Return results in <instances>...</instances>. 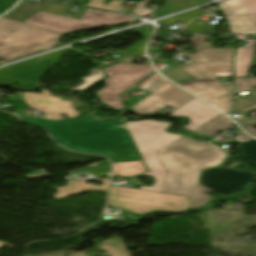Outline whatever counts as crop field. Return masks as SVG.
I'll return each instance as SVG.
<instances>
[{
  "mask_svg": "<svg viewBox=\"0 0 256 256\" xmlns=\"http://www.w3.org/2000/svg\"><path fill=\"white\" fill-rule=\"evenodd\" d=\"M157 154L166 170L162 193L189 197L191 208H199L212 197V190L198 184L202 169L221 163L224 152L203 142L179 138Z\"/></svg>",
  "mask_w": 256,
  "mask_h": 256,
  "instance_id": "1",
  "label": "crop field"
},
{
  "mask_svg": "<svg viewBox=\"0 0 256 256\" xmlns=\"http://www.w3.org/2000/svg\"><path fill=\"white\" fill-rule=\"evenodd\" d=\"M22 121L49 131L66 148L80 152L105 154L112 162L140 160L125 129L115 128L116 120L108 119V129L88 132L98 124L93 116L82 121H47L20 117Z\"/></svg>",
  "mask_w": 256,
  "mask_h": 256,
  "instance_id": "2",
  "label": "crop field"
},
{
  "mask_svg": "<svg viewBox=\"0 0 256 256\" xmlns=\"http://www.w3.org/2000/svg\"><path fill=\"white\" fill-rule=\"evenodd\" d=\"M62 33L0 19V58L5 61L45 50L56 45Z\"/></svg>",
  "mask_w": 256,
  "mask_h": 256,
  "instance_id": "3",
  "label": "crop field"
},
{
  "mask_svg": "<svg viewBox=\"0 0 256 256\" xmlns=\"http://www.w3.org/2000/svg\"><path fill=\"white\" fill-rule=\"evenodd\" d=\"M126 124L143 160L150 170L141 175L146 177L153 176L156 180L153 187L147 188L141 186L140 189L161 192L165 170L161 166L156 151L175 141L182 135L166 133L165 128L170 124L164 122L139 121Z\"/></svg>",
  "mask_w": 256,
  "mask_h": 256,
  "instance_id": "4",
  "label": "crop field"
},
{
  "mask_svg": "<svg viewBox=\"0 0 256 256\" xmlns=\"http://www.w3.org/2000/svg\"><path fill=\"white\" fill-rule=\"evenodd\" d=\"M108 204L142 214H146L155 209L182 212L187 208H190L189 200L185 197L113 185L110 187Z\"/></svg>",
  "mask_w": 256,
  "mask_h": 256,
  "instance_id": "5",
  "label": "crop field"
},
{
  "mask_svg": "<svg viewBox=\"0 0 256 256\" xmlns=\"http://www.w3.org/2000/svg\"><path fill=\"white\" fill-rule=\"evenodd\" d=\"M108 13L110 15H108ZM130 21H135V19L117 13L102 12L87 8L80 20L40 12L24 23L67 34L86 28L115 26Z\"/></svg>",
  "mask_w": 256,
  "mask_h": 256,
  "instance_id": "6",
  "label": "crop field"
},
{
  "mask_svg": "<svg viewBox=\"0 0 256 256\" xmlns=\"http://www.w3.org/2000/svg\"><path fill=\"white\" fill-rule=\"evenodd\" d=\"M104 70L106 75L110 76V78L106 80V88L99 90L96 93L101 102L116 110L122 109L117 96L154 71L152 66L122 63H117Z\"/></svg>",
  "mask_w": 256,
  "mask_h": 256,
  "instance_id": "7",
  "label": "crop field"
},
{
  "mask_svg": "<svg viewBox=\"0 0 256 256\" xmlns=\"http://www.w3.org/2000/svg\"><path fill=\"white\" fill-rule=\"evenodd\" d=\"M184 57L195 63L181 68L197 79L213 77L214 72L233 71V49L208 48Z\"/></svg>",
  "mask_w": 256,
  "mask_h": 256,
  "instance_id": "8",
  "label": "crop field"
},
{
  "mask_svg": "<svg viewBox=\"0 0 256 256\" xmlns=\"http://www.w3.org/2000/svg\"><path fill=\"white\" fill-rule=\"evenodd\" d=\"M256 177L249 171L238 172L229 168L206 170L201 177L202 185L221 195H231L244 189L247 182Z\"/></svg>",
  "mask_w": 256,
  "mask_h": 256,
  "instance_id": "9",
  "label": "crop field"
},
{
  "mask_svg": "<svg viewBox=\"0 0 256 256\" xmlns=\"http://www.w3.org/2000/svg\"><path fill=\"white\" fill-rule=\"evenodd\" d=\"M192 97L168 82L131 108L137 115H146L155 113L165 106L176 108Z\"/></svg>",
  "mask_w": 256,
  "mask_h": 256,
  "instance_id": "10",
  "label": "crop field"
},
{
  "mask_svg": "<svg viewBox=\"0 0 256 256\" xmlns=\"http://www.w3.org/2000/svg\"><path fill=\"white\" fill-rule=\"evenodd\" d=\"M68 51H61L49 54L30 62L10 66L0 70V78L35 83L45 73V71L55 65Z\"/></svg>",
  "mask_w": 256,
  "mask_h": 256,
  "instance_id": "11",
  "label": "crop field"
},
{
  "mask_svg": "<svg viewBox=\"0 0 256 256\" xmlns=\"http://www.w3.org/2000/svg\"><path fill=\"white\" fill-rule=\"evenodd\" d=\"M43 93H23L27 105L41 110L46 115L45 118L51 120L61 119L60 113H66L68 117L77 116V112L71 107V101H62L53 97L49 91L41 89ZM44 109H41V108Z\"/></svg>",
  "mask_w": 256,
  "mask_h": 256,
  "instance_id": "12",
  "label": "crop field"
},
{
  "mask_svg": "<svg viewBox=\"0 0 256 256\" xmlns=\"http://www.w3.org/2000/svg\"><path fill=\"white\" fill-rule=\"evenodd\" d=\"M220 114L215 108L195 98L174 111L171 115L175 117L188 116L191 119V123L185 129L193 130Z\"/></svg>",
  "mask_w": 256,
  "mask_h": 256,
  "instance_id": "13",
  "label": "crop field"
},
{
  "mask_svg": "<svg viewBox=\"0 0 256 256\" xmlns=\"http://www.w3.org/2000/svg\"><path fill=\"white\" fill-rule=\"evenodd\" d=\"M91 180H79V181H70L68 187H60L57 189L58 193L53 195L55 198L67 197L75 194L82 193L84 191H97V192H106L109 179H101L97 181L103 182L102 186H94L92 184H85V182Z\"/></svg>",
  "mask_w": 256,
  "mask_h": 256,
  "instance_id": "14",
  "label": "crop field"
},
{
  "mask_svg": "<svg viewBox=\"0 0 256 256\" xmlns=\"http://www.w3.org/2000/svg\"><path fill=\"white\" fill-rule=\"evenodd\" d=\"M219 5L226 18L256 14V0H229Z\"/></svg>",
  "mask_w": 256,
  "mask_h": 256,
  "instance_id": "15",
  "label": "crop field"
},
{
  "mask_svg": "<svg viewBox=\"0 0 256 256\" xmlns=\"http://www.w3.org/2000/svg\"><path fill=\"white\" fill-rule=\"evenodd\" d=\"M53 3L54 2L51 0H45L43 3L38 5L22 1L21 4L13 11H11L7 16H5V18L23 22Z\"/></svg>",
  "mask_w": 256,
  "mask_h": 256,
  "instance_id": "16",
  "label": "crop field"
},
{
  "mask_svg": "<svg viewBox=\"0 0 256 256\" xmlns=\"http://www.w3.org/2000/svg\"><path fill=\"white\" fill-rule=\"evenodd\" d=\"M233 33L256 34V15L227 19Z\"/></svg>",
  "mask_w": 256,
  "mask_h": 256,
  "instance_id": "17",
  "label": "crop field"
},
{
  "mask_svg": "<svg viewBox=\"0 0 256 256\" xmlns=\"http://www.w3.org/2000/svg\"><path fill=\"white\" fill-rule=\"evenodd\" d=\"M254 49L255 48H238L235 62L237 77L247 76L251 65Z\"/></svg>",
  "mask_w": 256,
  "mask_h": 256,
  "instance_id": "18",
  "label": "crop field"
},
{
  "mask_svg": "<svg viewBox=\"0 0 256 256\" xmlns=\"http://www.w3.org/2000/svg\"><path fill=\"white\" fill-rule=\"evenodd\" d=\"M231 124V120H229L224 115H220L206 122L202 126L195 129L194 131L214 136L219 129L227 130Z\"/></svg>",
  "mask_w": 256,
  "mask_h": 256,
  "instance_id": "19",
  "label": "crop field"
},
{
  "mask_svg": "<svg viewBox=\"0 0 256 256\" xmlns=\"http://www.w3.org/2000/svg\"><path fill=\"white\" fill-rule=\"evenodd\" d=\"M114 176H133L146 171L142 161L114 163Z\"/></svg>",
  "mask_w": 256,
  "mask_h": 256,
  "instance_id": "20",
  "label": "crop field"
},
{
  "mask_svg": "<svg viewBox=\"0 0 256 256\" xmlns=\"http://www.w3.org/2000/svg\"><path fill=\"white\" fill-rule=\"evenodd\" d=\"M240 156L236 159V163L254 162L256 163V140L253 139L247 143L240 144L238 147Z\"/></svg>",
  "mask_w": 256,
  "mask_h": 256,
  "instance_id": "21",
  "label": "crop field"
},
{
  "mask_svg": "<svg viewBox=\"0 0 256 256\" xmlns=\"http://www.w3.org/2000/svg\"><path fill=\"white\" fill-rule=\"evenodd\" d=\"M152 28L151 27H146V28H142V29H138L136 30L137 33H139L140 35H142L145 40L136 44L135 46L124 50L123 52H121V54H131V55H135V56H145L144 54V49L145 46L151 36V32H152Z\"/></svg>",
  "mask_w": 256,
  "mask_h": 256,
  "instance_id": "22",
  "label": "crop field"
},
{
  "mask_svg": "<svg viewBox=\"0 0 256 256\" xmlns=\"http://www.w3.org/2000/svg\"><path fill=\"white\" fill-rule=\"evenodd\" d=\"M189 92L210 102L215 98H217L218 96L225 93L226 89L223 87V85H219V86H213V87L202 88L197 90H191Z\"/></svg>",
  "mask_w": 256,
  "mask_h": 256,
  "instance_id": "23",
  "label": "crop field"
},
{
  "mask_svg": "<svg viewBox=\"0 0 256 256\" xmlns=\"http://www.w3.org/2000/svg\"><path fill=\"white\" fill-rule=\"evenodd\" d=\"M99 248L107 250L110 256H128L121 243L113 239L103 241Z\"/></svg>",
  "mask_w": 256,
  "mask_h": 256,
  "instance_id": "24",
  "label": "crop field"
},
{
  "mask_svg": "<svg viewBox=\"0 0 256 256\" xmlns=\"http://www.w3.org/2000/svg\"><path fill=\"white\" fill-rule=\"evenodd\" d=\"M161 73L176 83L195 79L179 67L161 71Z\"/></svg>",
  "mask_w": 256,
  "mask_h": 256,
  "instance_id": "25",
  "label": "crop field"
},
{
  "mask_svg": "<svg viewBox=\"0 0 256 256\" xmlns=\"http://www.w3.org/2000/svg\"><path fill=\"white\" fill-rule=\"evenodd\" d=\"M219 84H221L219 80L216 77H213V78L179 83L178 85L187 90H191V89H197V88L208 87V86L219 85Z\"/></svg>",
  "mask_w": 256,
  "mask_h": 256,
  "instance_id": "26",
  "label": "crop field"
},
{
  "mask_svg": "<svg viewBox=\"0 0 256 256\" xmlns=\"http://www.w3.org/2000/svg\"><path fill=\"white\" fill-rule=\"evenodd\" d=\"M104 0H90L87 6L105 9V10H111V11H119L120 5L124 2L122 0H113L109 3V5L103 4Z\"/></svg>",
  "mask_w": 256,
  "mask_h": 256,
  "instance_id": "27",
  "label": "crop field"
},
{
  "mask_svg": "<svg viewBox=\"0 0 256 256\" xmlns=\"http://www.w3.org/2000/svg\"><path fill=\"white\" fill-rule=\"evenodd\" d=\"M93 73H96L93 75ZM104 77L102 70L93 69L88 77L82 78V80L85 81V83L79 87L70 89V90H80V89H86L92 85H94L97 81L102 79Z\"/></svg>",
  "mask_w": 256,
  "mask_h": 256,
  "instance_id": "28",
  "label": "crop field"
},
{
  "mask_svg": "<svg viewBox=\"0 0 256 256\" xmlns=\"http://www.w3.org/2000/svg\"><path fill=\"white\" fill-rule=\"evenodd\" d=\"M231 100H232V98L227 92L210 103L216 105L220 110H222L224 113L228 114Z\"/></svg>",
  "mask_w": 256,
  "mask_h": 256,
  "instance_id": "29",
  "label": "crop field"
},
{
  "mask_svg": "<svg viewBox=\"0 0 256 256\" xmlns=\"http://www.w3.org/2000/svg\"><path fill=\"white\" fill-rule=\"evenodd\" d=\"M209 36L193 35L190 39L196 50L212 47L211 42H206L205 39ZM189 40V41H190Z\"/></svg>",
  "mask_w": 256,
  "mask_h": 256,
  "instance_id": "30",
  "label": "crop field"
},
{
  "mask_svg": "<svg viewBox=\"0 0 256 256\" xmlns=\"http://www.w3.org/2000/svg\"><path fill=\"white\" fill-rule=\"evenodd\" d=\"M238 91L243 92L245 90L256 87V78H242L237 79Z\"/></svg>",
  "mask_w": 256,
  "mask_h": 256,
  "instance_id": "31",
  "label": "crop field"
},
{
  "mask_svg": "<svg viewBox=\"0 0 256 256\" xmlns=\"http://www.w3.org/2000/svg\"><path fill=\"white\" fill-rule=\"evenodd\" d=\"M150 1H152V0H146V1H143V2H139L137 4L133 14L145 17V16L149 15L150 13H152V10L146 8V6H145V4L150 2ZM136 9H139V10H136Z\"/></svg>",
  "mask_w": 256,
  "mask_h": 256,
  "instance_id": "32",
  "label": "crop field"
},
{
  "mask_svg": "<svg viewBox=\"0 0 256 256\" xmlns=\"http://www.w3.org/2000/svg\"><path fill=\"white\" fill-rule=\"evenodd\" d=\"M160 78H162L160 75H158L157 73L154 74L152 77H150L149 79H147L146 81H144L142 84H140L137 87H140L142 89H147L149 86H151L153 83H155L156 81H158Z\"/></svg>",
  "mask_w": 256,
  "mask_h": 256,
  "instance_id": "33",
  "label": "crop field"
},
{
  "mask_svg": "<svg viewBox=\"0 0 256 256\" xmlns=\"http://www.w3.org/2000/svg\"><path fill=\"white\" fill-rule=\"evenodd\" d=\"M17 0H0V14L7 11Z\"/></svg>",
  "mask_w": 256,
  "mask_h": 256,
  "instance_id": "34",
  "label": "crop field"
},
{
  "mask_svg": "<svg viewBox=\"0 0 256 256\" xmlns=\"http://www.w3.org/2000/svg\"><path fill=\"white\" fill-rule=\"evenodd\" d=\"M237 134H239V135L235 138V140H238L240 142H243V141L246 142V141L252 139V138L248 137L246 134H244L242 131Z\"/></svg>",
  "mask_w": 256,
  "mask_h": 256,
  "instance_id": "35",
  "label": "crop field"
},
{
  "mask_svg": "<svg viewBox=\"0 0 256 256\" xmlns=\"http://www.w3.org/2000/svg\"><path fill=\"white\" fill-rule=\"evenodd\" d=\"M97 123L99 124L98 127L91 128V129H87V130H88V131H92V130H98V129L107 128V122H106V121H97Z\"/></svg>",
  "mask_w": 256,
  "mask_h": 256,
  "instance_id": "36",
  "label": "crop field"
},
{
  "mask_svg": "<svg viewBox=\"0 0 256 256\" xmlns=\"http://www.w3.org/2000/svg\"><path fill=\"white\" fill-rule=\"evenodd\" d=\"M2 81L12 82V83H15V84H19L21 87H26V86L34 85V84H28V83H22V82H16V81L0 79V82H2ZM37 83H35V84H37Z\"/></svg>",
  "mask_w": 256,
  "mask_h": 256,
  "instance_id": "37",
  "label": "crop field"
},
{
  "mask_svg": "<svg viewBox=\"0 0 256 256\" xmlns=\"http://www.w3.org/2000/svg\"><path fill=\"white\" fill-rule=\"evenodd\" d=\"M166 82H168V81L162 80V81H160L159 83H157L155 86H153L152 88H150L148 91L153 92V91H155L156 89H158L160 86H162L163 84H165Z\"/></svg>",
  "mask_w": 256,
  "mask_h": 256,
  "instance_id": "38",
  "label": "crop field"
},
{
  "mask_svg": "<svg viewBox=\"0 0 256 256\" xmlns=\"http://www.w3.org/2000/svg\"><path fill=\"white\" fill-rule=\"evenodd\" d=\"M217 77H223V76H231L234 75L233 72H224V73H214Z\"/></svg>",
  "mask_w": 256,
  "mask_h": 256,
  "instance_id": "39",
  "label": "crop field"
},
{
  "mask_svg": "<svg viewBox=\"0 0 256 256\" xmlns=\"http://www.w3.org/2000/svg\"><path fill=\"white\" fill-rule=\"evenodd\" d=\"M37 256H65L63 252H56L52 254H46V255H37Z\"/></svg>",
  "mask_w": 256,
  "mask_h": 256,
  "instance_id": "40",
  "label": "crop field"
},
{
  "mask_svg": "<svg viewBox=\"0 0 256 256\" xmlns=\"http://www.w3.org/2000/svg\"><path fill=\"white\" fill-rule=\"evenodd\" d=\"M246 42L249 43L248 47H255L256 46V40H246Z\"/></svg>",
  "mask_w": 256,
  "mask_h": 256,
  "instance_id": "41",
  "label": "crop field"
},
{
  "mask_svg": "<svg viewBox=\"0 0 256 256\" xmlns=\"http://www.w3.org/2000/svg\"><path fill=\"white\" fill-rule=\"evenodd\" d=\"M68 256H85L84 252H77L75 254H68Z\"/></svg>",
  "mask_w": 256,
  "mask_h": 256,
  "instance_id": "42",
  "label": "crop field"
},
{
  "mask_svg": "<svg viewBox=\"0 0 256 256\" xmlns=\"http://www.w3.org/2000/svg\"><path fill=\"white\" fill-rule=\"evenodd\" d=\"M255 126H256V124H254V125H252V126H249V127H246V128H244V130H245V131L253 130L252 127H255Z\"/></svg>",
  "mask_w": 256,
  "mask_h": 256,
  "instance_id": "43",
  "label": "crop field"
},
{
  "mask_svg": "<svg viewBox=\"0 0 256 256\" xmlns=\"http://www.w3.org/2000/svg\"><path fill=\"white\" fill-rule=\"evenodd\" d=\"M253 67H256V54H255V58H254V61H253Z\"/></svg>",
  "mask_w": 256,
  "mask_h": 256,
  "instance_id": "44",
  "label": "crop field"
},
{
  "mask_svg": "<svg viewBox=\"0 0 256 256\" xmlns=\"http://www.w3.org/2000/svg\"><path fill=\"white\" fill-rule=\"evenodd\" d=\"M247 133H250L251 135L255 136L256 137V131H253V132H247Z\"/></svg>",
  "mask_w": 256,
  "mask_h": 256,
  "instance_id": "45",
  "label": "crop field"
},
{
  "mask_svg": "<svg viewBox=\"0 0 256 256\" xmlns=\"http://www.w3.org/2000/svg\"><path fill=\"white\" fill-rule=\"evenodd\" d=\"M162 14H163V12H162V13L155 14L153 17L159 16V15H162Z\"/></svg>",
  "mask_w": 256,
  "mask_h": 256,
  "instance_id": "46",
  "label": "crop field"
},
{
  "mask_svg": "<svg viewBox=\"0 0 256 256\" xmlns=\"http://www.w3.org/2000/svg\"><path fill=\"white\" fill-rule=\"evenodd\" d=\"M4 244V242H0V248L3 247L2 245Z\"/></svg>",
  "mask_w": 256,
  "mask_h": 256,
  "instance_id": "47",
  "label": "crop field"
},
{
  "mask_svg": "<svg viewBox=\"0 0 256 256\" xmlns=\"http://www.w3.org/2000/svg\"><path fill=\"white\" fill-rule=\"evenodd\" d=\"M201 22L197 23L198 25L200 24Z\"/></svg>",
  "mask_w": 256,
  "mask_h": 256,
  "instance_id": "48",
  "label": "crop field"
}]
</instances>
